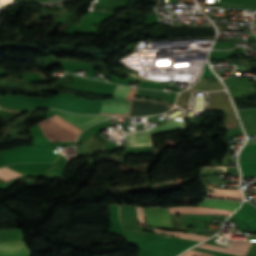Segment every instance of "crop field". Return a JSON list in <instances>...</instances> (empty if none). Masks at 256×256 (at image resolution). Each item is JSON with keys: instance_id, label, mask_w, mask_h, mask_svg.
<instances>
[{"instance_id": "3316defc", "label": "crop field", "mask_w": 256, "mask_h": 256, "mask_svg": "<svg viewBox=\"0 0 256 256\" xmlns=\"http://www.w3.org/2000/svg\"><path fill=\"white\" fill-rule=\"evenodd\" d=\"M241 203L242 202L215 200V199H203V201L201 203H199L198 206L215 207V208H221V209L235 211V209Z\"/></svg>"}, {"instance_id": "f4fd0767", "label": "crop field", "mask_w": 256, "mask_h": 256, "mask_svg": "<svg viewBox=\"0 0 256 256\" xmlns=\"http://www.w3.org/2000/svg\"><path fill=\"white\" fill-rule=\"evenodd\" d=\"M144 213L147 226L172 229L170 216L166 207L144 208Z\"/></svg>"}, {"instance_id": "4a817a6b", "label": "crop field", "mask_w": 256, "mask_h": 256, "mask_svg": "<svg viewBox=\"0 0 256 256\" xmlns=\"http://www.w3.org/2000/svg\"><path fill=\"white\" fill-rule=\"evenodd\" d=\"M227 126H228V128H231V127H235V126H237V125H236L235 122H233V123H228Z\"/></svg>"}, {"instance_id": "733c2abd", "label": "crop field", "mask_w": 256, "mask_h": 256, "mask_svg": "<svg viewBox=\"0 0 256 256\" xmlns=\"http://www.w3.org/2000/svg\"><path fill=\"white\" fill-rule=\"evenodd\" d=\"M252 88L255 90L254 92H251L249 94H256V83L252 82Z\"/></svg>"}, {"instance_id": "28ad6ade", "label": "crop field", "mask_w": 256, "mask_h": 256, "mask_svg": "<svg viewBox=\"0 0 256 256\" xmlns=\"http://www.w3.org/2000/svg\"><path fill=\"white\" fill-rule=\"evenodd\" d=\"M215 193H207V197H220L242 200V195L239 190H220L215 189Z\"/></svg>"}, {"instance_id": "bc2a9ffb", "label": "crop field", "mask_w": 256, "mask_h": 256, "mask_svg": "<svg viewBox=\"0 0 256 256\" xmlns=\"http://www.w3.org/2000/svg\"><path fill=\"white\" fill-rule=\"evenodd\" d=\"M212 256H216V255H212Z\"/></svg>"}, {"instance_id": "dd49c442", "label": "crop field", "mask_w": 256, "mask_h": 256, "mask_svg": "<svg viewBox=\"0 0 256 256\" xmlns=\"http://www.w3.org/2000/svg\"><path fill=\"white\" fill-rule=\"evenodd\" d=\"M151 38L189 36L199 34H215L214 28L205 29H163L147 33Z\"/></svg>"}, {"instance_id": "22f410ed", "label": "crop field", "mask_w": 256, "mask_h": 256, "mask_svg": "<svg viewBox=\"0 0 256 256\" xmlns=\"http://www.w3.org/2000/svg\"><path fill=\"white\" fill-rule=\"evenodd\" d=\"M246 98H251V97H233L232 98L237 109L256 108V104H253L252 102H246Z\"/></svg>"}, {"instance_id": "d9b57169", "label": "crop field", "mask_w": 256, "mask_h": 256, "mask_svg": "<svg viewBox=\"0 0 256 256\" xmlns=\"http://www.w3.org/2000/svg\"><path fill=\"white\" fill-rule=\"evenodd\" d=\"M256 144V140L247 141L246 145H254Z\"/></svg>"}, {"instance_id": "d1516ede", "label": "crop field", "mask_w": 256, "mask_h": 256, "mask_svg": "<svg viewBox=\"0 0 256 256\" xmlns=\"http://www.w3.org/2000/svg\"><path fill=\"white\" fill-rule=\"evenodd\" d=\"M20 175H22V174L14 171V170H11L7 167L0 168V180H2V181L8 182Z\"/></svg>"}, {"instance_id": "e52e79f7", "label": "crop field", "mask_w": 256, "mask_h": 256, "mask_svg": "<svg viewBox=\"0 0 256 256\" xmlns=\"http://www.w3.org/2000/svg\"><path fill=\"white\" fill-rule=\"evenodd\" d=\"M57 114L64 120H66L67 122L71 123L72 125L76 126L81 130L95 122L108 118L97 115H75L64 112H60Z\"/></svg>"}, {"instance_id": "d8731c3e", "label": "crop field", "mask_w": 256, "mask_h": 256, "mask_svg": "<svg viewBox=\"0 0 256 256\" xmlns=\"http://www.w3.org/2000/svg\"><path fill=\"white\" fill-rule=\"evenodd\" d=\"M228 243H231V245L228 248L209 245V244H205V243H202V244L198 245L197 247L213 249V250L237 254V255H245L251 242H242V241L236 242V241L228 240Z\"/></svg>"}, {"instance_id": "8a807250", "label": "crop field", "mask_w": 256, "mask_h": 256, "mask_svg": "<svg viewBox=\"0 0 256 256\" xmlns=\"http://www.w3.org/2000/svg\"><path fill=\"white\" fill-rule=\"evenodd\" d=\"M197 243L168 236L140 248L139 256H176Z\"/></svg>"}, {"instance_id": "412701ff", "label": "crop field", "mask_w": 256, "mask_h": 256, "mask_svg": "<svg viewBox=\"0 0 256 256\" xmlns=\"http://www.w3.org/2000/svg\"><path fill=\"white\" fill-rule=\"evenodd\" d=\"M184 127V121L171 120L157 128L128 135V147L152 145L150 134L179 129Z\"/></svg>"}, {"instance_id": "34b2d1b8", "label": "crop field", "mask_w": 256, "mask_h": 256, "mask_svg": "<svg viewBox=\"0 0 256 256\" xmlns=\"http://www.w3.org/2000/svg\"><path fill=\"white\" fill-rule=\"evenodd\" d=\"M59 154L52 151V148H26L13 152L3 153L8 164L17 162H52Z\"/></svg>"}, {"instance_id": "cbeb9de0", "label": "crop field", "mask_w": 256, "mask_h": 256, "mask_svg": "<svg viewBox=\"0 0 256 256\" xmlns=\"http://www.w3.org/2000/svg\"><path fill=\"white\" fill-rule=\"evenodd\" d=\"M192 249H193V250L202 251V252H205V253L216 254V255H222V256H236V255L225 254V253H221V252H217V251H213V250H205V249H201V248H197V247H194V248H192Z\"/></svg>"}, {"instance_id": "ac0d7876", "label": "crop field", "mask_w": 256, "mask_h": 256, "mask_svg": "<svg viewBox=\"0 0 256 256\" xmlns=\"http://www.w3.org/2000/svg\"><path fill=\"white\" fill-rule=\"evenodd\" d=\"M137 89L117 86L113 96L133 101ZM103 99L99 114L110 116H129L132 103L131 101L115 98Z\"/></svg>"}, {"instance_id": "5142ce71", "label": "crop field", "mask_w": 256, "mask_h": 256, "mask_svg": "<svg viewBox=\"0 0 256 256\" xmlns=\"http://www.w3.org/2000/svg\"><path fill=\"white\" fill-rule=\"evenodd\" d=\"M137 214H138V221L140 223V225H145V221H144V213H143V208L137 207Z\"/></svg>"}, {"instance_id": "5a996713", "label": "crop field", "mask_w": 256, "mask_h": 256, "mask_svg": "<svg viewBox=\"0 0 256 256\" xmlns=\"http://www.w3.org/2000/svg\"><path fill=\"white\" fill-rule=\"evenodd\" d=\"M31 254L25 241H8L0 243V255Z\"/></svg>"}]
</instances>
